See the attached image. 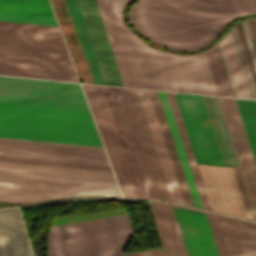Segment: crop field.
Wrapping results in <instances>:
<instances>
[{
	"mask_svg": "<svg viewBox=\"0 0 256 256\" xmlns=\"http://www.w3.org/2000/svg\"><path fill=\"white\" fill-rule=\"evenodd\" d=\"M132 229L47 243L48 256H109L124 252Z\"/></svg>",
	"mask_w": 256,
	"mask_h": 256,
	"instance_id": "crop-field-13",
	"label": "crop field"
},
{
	"mask_svg": "<svg viewBox=\"0 0 256 256\" xmlns=\"http://www.w3.org/2000/svg\"><path fill=\"white\" fill-rule=\"evenodd\" d=\"M0 160L111 171L109 166L94 165V164L72 163V162L30 159V158H19V157H9V156H0Z\"/></svg>",
	"mask_w": 256,
	"mask_h": 256,
	"instance_id": "crop-field-32",
	"label": "crop field"
},
{
	"mask_svg": "<svg viewBox=\"0 0 256 256\" xmlns=\"http://www.w3.org/2000/svg\"><path fill=\"white\" fill-rule=\"evenodd\" d=\"M0 102L89 111L72 83L0 77Z\"/></svg>",
	"mask_w": 256,
	"mask_h": 256,
	"instance_id": "crop-field-8",
	"label": "crop field"
},
{
	"mask_svg": "<svg viewBox=\"0 0 256 256\" xmlns=\"http://www.w3.org/2000/svg\"><path fill=\"white\" fill-rule=\"evenodd\" d=\"M0 118L95 127L89 112L0 103ZM0 119V137L102 147L95 128Z\"/></svg>",
	"mask_w": 256,
	"mask_h": 256,
	"instance_id": "crop-field-4",
	"label": "crop field"
},
{
	"mask_svg": "<svg viewBox=\"0 0 256 256\" xmlns=\"http://www.w3.org/2000/svg\"><path fill=\"white\" fill-rule=\"evenodd\" d=\"M157 92H158L160 100H161V104H162V107H163V110H164V113L166 116V120H167L168 126L170 128V131H171V134H172L175 146H176V150H177V153H178V156H179V159H180V162H181V165H182V168H183V171H184V174H185L188 186H189V190H190L194 205L197 207L203 208L200 198H199V195H198V192H197V188H196L191 170H190V167H189V164H188V161H187V158H186V155H185V152H184V148H183V145H182V142H181V139H180V136H179L172 112H171V108H170L166 93L161 92V91H157Z\"/></svg>",
	"mask_w": 256,
	"mask_h": 256,
	"instance_id": "crop-field-26",
	"label": "crop field"
},
{
	"mask_svg": "<svg viewBox=\"0 0 256 256\" xmlns=\"http://www.w3.org/2000/svg\"><path fill=\"white\" fill-rule=\"evenodd\" d=\"M148 92H149V95H150V98H151V101H152V104H153V107H154V110H155V113H156V116H157V119H158V122H159V125L161 128L164 140H165V144H166V147H167V150H168V153H169L172 165H173V169H174V172H175V175H176V178H177L180 190H181V194H182L184 203L193 205V202H192V199H191V196H190V193H189V190H188L185 178H184V174H183V171H182V168H181V165H180V162H179V159H178L168 126L165 121V117L163 114V110H162L157 92L156 91H148Z\"/></svg>",
	"mask_w": 256,
	"mask_h": 256,
	"instance_id": "crop-field-24",
	"label": "crop field"
},
{
	"mask_svg": "<svg viewBox=\"0 0 256 256\" xmlns=\"http://www.w3.org/2000/svg\"><path fill=\"white\" fill-rule=\"evenodd\" d=\"M158 199L171 201L135 90L123 88Z\"/></svg>",
	"mask_w": 256,
	"mask_h": 256,
	"instance_id": "crop-field-15",
	"label": "crop field"
},
{
	"mask_svg": "<svg viewBox=\"0 0 256 256\" xmlns=\"http://www.w3.org/2000/svg\"><path fill=\"white\" fill-rule=\"evenodd\" d=\"M211 100H212V104H213V107H214V110H215V113H216V116H217V120H218L220 129H221V133H222V136H223V139H224V142H225V146H226L229 158H230L231 165L239 167L237 159H236V155H235V152H234V148H233V145H232V141H231V138H230V134L226 133V132H228V130H227L224 118H223V114H222L218 99H217V97H211Z\"/></svg>",
	"mask_w": 256,
	"mask_h": 256,
	"instance_id": "crop-field-33",
	"label": "crop field"
},
{
	"mask_svg": "<svg viewBox=\"0 0 256 256\" xmlns=\"http://www.w3.org/2000/svg\"><path fill=\"white\" fill-rule=\"evenodd\" d=\"M100 195L119 196L111 172L0 162V202Z\"/></svg>",
	"mask_w": 256,
	"mask_h": 256,
	"instance_id": "crop-field-2",
	"label": "crop field"
},
{
	"mask_svg": "<svg viewBox=\"0 0 256 256\" xmlns=\"http://www.w3.org/2000/svg\"><path fill=\"white\" fill-rule=\"evenodd\" d=\"M0 256H32L18 209L0 211Z\"/></svg>",
	"mask_w": 256,
	"mask_h": 256,
	"instance_id": "crop-field-22",
	"label": "crop field"
},
{
	"mask_svg": "<svg viewBox=\"0 0 256 256\" xmlns=\"http://www.w3.org/2000/svg\"><path fill=\"white\" fill-rule=\"evenodd\" d=\"M0 20L57 26L55 20L49 18L0 14Z\"/></svg>",
	"mask_w": 256,
	"mask_h": 256,
	"instance_id": "crop-field-34",
	"label": "crop field"
},
{
	"mask_svg": "<svg viewBox=\"0 0 256 256\" xmlns=\"http://www.w3.org/2000/svg\"><path fill=\"white\" fill-rule=\"evenodd\" d=\"M166 93H167V96H168V99H169V102H170V105L172 108V112H173L178 130H179V133H180V136H181L184 148H185V152H186V155H187V158H188V161H189V164H190V167H191V170H192V173H193V176H194L197 188H198V192H199L203 207L206 209H210V206H209V203H208V200H207L204 188H203V184H202V181H201V178H200L197 166H196L194 155H193L190 143H189V139H188V136H187V133L185 130V126H184V123H183V120L181 117V113H180V110H179V107H178V104L176 101L175 94L170 93V92H166Z\"/></svg>",
	"mask_w": 256,
	"mask_h": 256,
	"instance_id": "crop-field-27",
	"label": "crop field"
},
{
	"mask_svg": "<svg viewBox=\"0 0 256 256\" xmlns=\"http://www.w3.org/2000/svg\"><path fill=\"white\" fill-rule=\"evenodd\" d=\"M197 163L215 165L193 95L175 93ZM183 95V96H181Z\"/></svg>",
	"mask_w": 256,
	"mask_h": 256,
	"instance_id": "crop-field-21",
	"label": "crop field"
},
{
	"mask_svg": "<svg viewBox=\"0 0 256 256\" xmlns=\"http://www.w3.org/2000/svg\"><path fill=\"white\" fill-rule=\"evenodd\" d=\"M145 198H156L122 88L110 87Z\"/></svg>",
	"mask_w": 256,
	"mask_h": 256,
	"instance_id": "crop-field-16",
	"label": "crop field"
},
{
	"mask_svg": "<svg viewBox=\"0 0 256 256\" xmlns=\"http://www.w3.org/2000/svg\"><path fill=\"white\" fill-rule=\"evenodd\" d=\"M247 21V24H248V28H249V31H250V34H251V37H252V41H253V44H254V47H255V50H256V22H255V19L252 18V19H248L246 20ZM237 23V22H236ZM240 26H241V29H242V33H243V36H244V39H245V42H246V45H247V48H248V52H249V55H250V58H251V61H252V64H253V67H254V70H255V74H256V57H255V54H254V50H253V47H252V44H251V41H250V37H249V34H248V31H247V28H246V24H245V21H240ZM238 23V24H239ZM238 24H235L233 26H231V29H232V32H233V36H234V39H235V42H236V45H237V48H238V52H239V55H240V58H241V61H242V65H243V68H244V71H245V74H246V78H247V81H248V84H249V87H250V90H251V94H252V97L253 98H256V82H255V79H254V75H253V72H252V69H251V66H250V63H249V59H248V56H247V53H246V50H245V47H244V43H243V40H242V37H241V34H240V31H239V27H238Z\"/></svg>",
	"mask_w": 256,
	"mask_h": 256,
	"instance_id": "crop-field-23",
	"label": "crop field"
},
{
	"mask_svg": "<svg viewBox=\"0 0 256 256\" xmlns=\"http://www.w3.org/2000/svg\"><path fill=\"white\" fill-rule=\"evenodd\" d=\"M216 165H224L202 96L194 95Z\"/></svg>",
	"mask_w": 256,
	"mask_h": 256,
	"instance_id": "crop-field-31",
	"label": "crop field"
},
{
	"mask_svg": "<svg viewBox=\"0 0 256 256\" xmlns=\"http://www.w3.org/2000/svg\"><path fill=\"white\" fill-rule=\"evenodd\" d=\"M129 1L96 0L123 85L218 95L203 51L177 55L157 50L127 28L122 12Z\"/></svg>",
	"mask_w": 256,
	"mask_h": 256,
	"instance_id": "crop-field-1",
	"label": "crop field"
},
{
	"mask_svg": "<svg viewBox=\"0 0 256 256\" xmlns=\"http://www.w3.org/2000/svg\"><path fill=\"white\" fill-rule=\"evenodd\" d=\"M153 140L171 200L183 203L164 140L147 91L136 90ZM184 204V203H183Z\"/></svg>",
	"mask_w": 256,
	"mask_h": 256,
	"instance_id": "crop-field-20",
	"label": "crop field"
},
{
	"mask_svg": "<svg viewBox=\"0 0 256 256\" xmlns=\"http://www.w3.org/2000/svg\"><path fill=\"white\" fill-rule=\"evenodd\" d=\"M96 84L123 86L95 0H77L96 54H94L78 3L64 0ZM63 0H51L80 80L94 83ZM90 18V19H88Z\"/></svg>",
	"mask_w": 256,
	"mask_h": 256,
	"instance_id": "crop-field-3",
	"label": "crop field"
},
{
	"mask_svg": "<svg viewBox=\"0 0 256 256\" xmlns=\"http://www.w3.org/2000/svg\"><path fill=\"white\" fill-rule=\"evenodd\" d=\"M0 42L65 48L58 27L2 21Z\"/></svg>",
	"mask_w": 256,
	"mask_h": 256,
	"instance_id": "crop-field-18",
	"label": "crop field"
},
{
	"mask_svg": "<svg viewBox=\"0 0 256 256\" xmlns=\"http://www.w3.org/2000/svg\"><path fill=\"white\" fill-rule=\"evenodd\" d=\"M0 70L77 78L66 49L0 43ZM0 75L78 82V79L0 72Z\"/></svg>",
	"mask_w": 256,
	"mask_h": 256,
	"instance_id": "crop-field-7",
	"label": "crop field"
},
{
	"mask_svg": "<svg viewBox=\"0 0 256 256\" xmlns=\"http://www.w3.org/2000/svg\"><path fill=\"white\" fill-rule=\"evenodd\" d=\"M49 3L48 0H23ZM0 0V13L55 18L49 4Z\"/></svg>",
	"mask_w": 256,
	"mask_h": 256,
	"instance_id": "crop-field-28",
	"label": "crop field"
},
{
	"mask_svg": "<svg viewBox=\"0 0 256 256\" xmlns=\"http://www.w3.org/2000/svg\"><path fill=\"white\" fill-rule=\"evenodd\" d=\"M218 94L223 96H233L230 83L221 59L217 43L204 51Z\"/></svg>",
	"mask_w": 256,
	"mask_h": 256,
	"instance_id": "crop-field-29",
	"label": "crop field"
},
{
	"mask_svg": "<svg viewBox=\"0 0 256 256\" xmlns=\"http://www.w3.org/2000/svg\"><path fill=\"white\" fill-rule=\"evenodd\" d=\"M198 168L211 209L247 218L233 169L210 165H198Z\"/></svg>",
	"mask_w": 256,
	"mask_h": 256,
	"instance_id": "crop-field-12",
	"label": "crop field"
},
{
	"mask_svg": "<svg viewBox=\"0 0 256 256\" xmlns=\"http://www.w3.org/2000/svg\"><path fill=\"white\" fill-rule=\"evenodd\" d=\"M236 100L256 162V100Z\"/></svg>",
	"mask_w": 256,
	"mask_h": 256,
	"instance_id": "crop-field-30",
	"label": "crop field"
},
{
	"mask_svg": "<svg viewBox=\"0 0 256 256\" xmlns=\"http://www.w3.org/2000/svg\"><path fill=\"white\" fill-rule=\"evenodd\" d=\"M233 169H234L235 176H236V179H237V182H238V185H239V189H240V192H241V195H242V198H243V202H244V205H245V208H246V211H247L248 218L251 219V220L256 221L255 216H254V212H253V209H252V206H251V202H250V199H249V196H248V192H247V189H246V186H245V182H244V179H243V176H242L241 169L240 168H233Z\"/></svg>",
	"mask_w": 256,
	"mask_h": 256,
	"instance_id": "crop-field-35",
	"label": "crop field"
},
{
	"mask_svg": "<svg viewBox=\"0 0 256 256\" xmlns=\"http://www.w3.org/2000/svg\"><path fill=\"white\" fill-rule=\"evenodd\" d=\"M132 228L128 215H117L51 225L48 240L56 241Z\"/></svg>",
	"mask_w": 256,
	"mask_h": 256,
	"instance_id": "crop-field-17",
	"label": "crop field"
},
{
	"mask_svg": "<svg viewBox=\"0 0 256 256\" xmlns=\"http://www.w3.org/2000/svg\"><path fill=\"white\" fill-rule=\"evenodd\" d=\"M256 210V166L234 99L219 97Z\"/></svg>",
	"mask_w": 256,
	"mask_h": 256,
	"instance_id": "crop-field-14",
	"label": "crop field"
},
{
	"mask_svg": "<svg viewBox=\"0 0 256 256\" xmlns=\"http://www.w3.org/2000/svg\"><path fill=\"white\" fill-rule=\"evenodd\" d=\"M256 13V0H138L129 19L230 22Z\"/></svg>",
	"mask_w": 256,
	"mask_h": 256,
	"instance_id": "crop-field-5",
	"label": "crop field"
},
{
	"mask_svg": "<svg viewBox=\"0 0 256 256\" xmlns=\"http://www.w3.org/2000/svg\"><path fill=\"white\" fill-rule=\"evenodd\" d=\"M0 155L109 165L102 148L0 138Z\"/></svg>",
	"mask_w": 256,
	"mask_h": 256,
	"instance_id": "crop-field-10",
	"label": "crop field"
},
{
	"mask_svg": "<svg viewBox=\"0 0 256 256\" xmlns=\"http://www.w3.org/2000/svg\"><path fill=\"white\" fill-rule=\"evenodd\" d=\"M147 39L179 51L208 45L227 23L129 20Z\"/></svg>",
	"mask_w": 256,
	"mask_h": 256,
	"instance_id": "crop-field-9",
	"label": "crop field"
},
{
	"mask_svg": "<svg viewBox=\"0 0 256 256\" xmlns=\"http://www.w3.org/2000/svg\"><path fill=\"white\" fill-rule=\"evenodd\" d=\"M227 71L236 97L251 98L236 52V48L229 32L219 43Z\"/></svg>",
	"mask_w": 256,
	"mask_h": 256,
	"instance_id": "crop-field-25",
	"label": "crop field"
},
{
	"mask_svg": "<svg viewBox=\"0 0 256 256\" xmlns=\"http://www.w3.org/2000/svg\"><path fill=\"white\" fill-rule=\"evenodd\" d=\"M206 215L219 256H256V224L210 212Z\"/></svg>",
	"mask_w": 256,
	"mask_h": 256,
	"instance_id": "crop-field-11",
	"label": "crop field"
},
{
	"mask_svg": "<svg viewBox=\"0 0 256 256\" xmlns=\"http://www.w3.org/2000/svg\"><path fill=\"white\" fill-rule=\"evenodd\" d=\"M153 206L168 256H218L206 217Z\"/></svg>",
	"mask_w": 256,
	"mask_h": 256,
	"instance_id": "crop-field-6",
	"label": "crop field"
},
{
	"mask_svg": "<svg viewBox=\"0 0 256 256\" xmlns=\"http://www.w3.org/2000/svg\"><path fill=\"white\" fill-rule=\"evenodd\" d=\"M121 256H163V252L161 249H158V250L127 254V255H121Z\"/></svg>",
	"mask_w": 256,
	"mask_h": 256,
	"instance_id": "crop-field-36",
	"label": "crop field"
},
{
	"mask_svg": "<svg viewBox=\"0 0 256 256\" xmlns=\"http://www.w3.org/2000/svg\"><path fill=\"white\" fill-rule=\"evenodd\" d=\"M110 158L123 151L102 86L82 85Z\"/></svg>",
	"mask_w": 256,
	"mask_h": 256,
	"instance_id": "crop-field-19",
	"label": "crop field"
}]
</instances>
